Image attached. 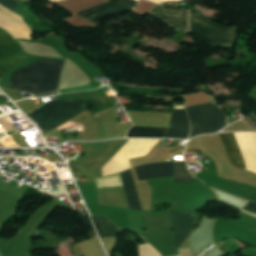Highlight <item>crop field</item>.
<instances>
[{
  "mask_svg": "<svg viewBox=\"0 0 256 256\" xmlns=\"http://www.w3.org/2000/svg\"><path fill=\"white\" fill-rule=\"evenodd\" d=\"M62 60L40 59L16 70L9 87L29 92L47 93L58 89Z\"/></svg>",
  "mask_w": 256,
  "mask_h": 256,
  "instance_id": "8a807250",
  "label": "crop field"
},
{
  "mask_svg": "<svg viewBox=\"0 0 256 256\" xmlns=\"http://www.w3.org/2000/svg\"><path fill=\"white\" fill-rule=\"evenodd\" d=\"M86 109L87 105L57 99L32 112L30 117L43 135Z\"/></svg>",
  "mask_w": 256,
  "mask_h": 256,
  "instance_id": "ac0d7876",
  "label": "crop field"
},
{
  "mask_svg": "<svg viewBox=\"0 0 256 256\" xmlns=\"http://www.w3.org/2000/svg\"><path fill=\"white\" fill-rule=\"evenodd\" d=\"M191 122L190 137L214 133L224 127L227 116L215 102L186 108Z\"/></svg>",
  "mask_w": 256,
  "mask_h": 256,
  "instance_id": "34b2d1b8",
  "label": "crop field"
},
{
  "mask_svg": "<svg viewBox=\"0 0 256 256\" xmlns=\"http://www.w3.org/2000/svg\"><path fill=\"white\" fill-rule=\"evenodd\" d=\"M190 32L206 40L215 47H230L236 28H226L215 24L191 11H189Z\"/></svg>",
  "mask_w": 256,
  "mask_h": 256,
  "instance_id": "412701ff",
  "label": "crop field"
},
{
  "mask_svg": "<svg viewBox=\"0 0 256 256\" xmlns=\"http://www.w3.org/2000/svg\"><path fill=\"white\" fill-rule=\"evenodd\" d=\"M158 141L159 140L130 139L102 168L103 177L130 169L128 159L147 155Z\"/></svg>",
  "mask_w": 256,
  "mask_h": 256,
  "instance_id": "f4fd0767",
  "label": "crop field"
},
{
  "mask_svg": "<svg viewBox=\"0 0 256 256\" xmlns=\"http://www.w3.org/2000/svg\"><path fill=\"white\" fill-rule=\"evenodd\" d=\"M0 4L10 11H14L20 2L15 0H0ZM0 5V27L7 30L14 39L21 38L31 40V29L22 17L10 12Z\"/></svg>",
  "mask_w": 256,
  "mask_h": 256,
  "instance_id": "dd49c442",
  "label": "crop field"
},
{
  "mask_svg": "<svg viewBox=\"0 0 256 256\" xmlns=\"http://www.w3.org/2000/svg\"><path fill=\"white\" fill-rule=\"evenodd\" d=\"M16 44L8 33L0 32V81L9 70L25 58Z\"/></svg>",
  "mask_w": 256,
  "mask_h": 256,
  "instance_id": "e52e79f7",
  "label": "crop field"
},
{
  "mask_svg": "<svg viewBox=\"0 0 256 256\" xmlns=\"http://www.w3.org/2000/svg\"><path fill=\"white\" fill-rule=\"evenodd\" d=\"M110 2L102 4L100 6L87 9L77 13L82 18L98 25L99 21L104 17L116 14L119 12L132 10L137 4L132 0H109Z\"/></svg>",
  "mask_w": 256,
  "mask_h": 256,
  "instance_id": "d8731c3e",
  "label": "crop field"
},
{
  "mask_svg": "<svg viewBox=\"0 0 256 256\" xmlns=\"http://www.w3.org/2000/svg\"><path fill=\"white\" fill-rule=\"evenodd\" d=\"M171 138H187L189 135L190 124L186 116L183 102L173 104V112L170 123ZM169 128L167 133L163 136L170 138Z\"/></svg>",
  "mask_w": 256,
  "mask_h": 256,
  "instance_id": "5a996713",
  "label": "crop field"
},
{
  "mask_svg": "<svg viewBox=\"0 0 256 256\" xmlns=\"http://www.w3.org/2000/svg\"><path fill=\"white\" fill-rule=\"evenodd\" d=\"M149 14L161 19L168 25L187 31V10H173L158 5Z\"/></svg>",
  "mask_w": 256,
  "mask_h": 256,
  "instance_id": "3316defc",
  "label": "crop field"
},
{
  "mask_svg": "<svg viewBox=\"0 0 256 256\" xmlns=\"http://www.w3.org/2000/svg\"><path fill=\"white\" fill-rule=\"evenodd\" d=\"M172 228L176 247L179 246L191 231L195 216L170 210Z\"/></svg>",
  "mask_w": 256,
  "mask_h": 256,
  "instance_id": "28ad6ade",
  "label": "crop field"
},
{
  "mask_svg": "<svg viewBox=\"0 0 256 256\" xmlns=\"http://www.w3.org/2000/svg\"><path fill=\"white\" fill-rule=\"evenodd\" d=\"M174 162L157 163L134 168L139 180L173 176Z\"/></svg>",
  "mask_w": 256,
  "mask_h": 256,
  "instance_id": "d1516ede",
  "label": "crop field"
},
{
  "mask_svg": "<svg viewBox=\"0 0 256 256\" xmlns=\"http://www.w3.org/2000/svg\"><path fill=\"white\" fill-rule=\"evenodd\" d=\"M219 136L231 164L239 168L247 169L234 133L221 134Z\"/></svg>",
  "mask_w": 256,
  "mask_h": 256,
  "instance_id": "22f410ed",
  "label": "crop field"
},
{
  "mask_svg": "<svg viewBox=\"0 0 256 256\" xmlns=\"http://www.w3.org/2000/svg\"><path fill=\"white\" fill-rule=\"evenodd\" d=\"M120 175H121L122 183L126 193L129 208L132 210H142L130 171L128 170L124 173H121Z\"/></svg>",
  "mask_w": 256,
  "mask_h": 256,
  "instance_id": "cbeb9de0",
  "label": "crop field"
},
{
  "mask_svg": "<svg viewBox=\"0 0 256 256\" xmlns=\"http://www.w3.org/2000/svg\"><path fill=\"white\" fill-rule=\"evenodd\" d=\"M165 128L153 127H132L128 132V137H162Z\"/></svg>",
  "mask_w": 256,
  "mask_h": 256,
  "instance_id": "5142ce71",
  "label": "crop field"
},
{
  "mask_svg": "<svg viewBox=\"0 0 256 256\" xmlns=\"http://www.w3.org/2000/svg\"><path fill=\"white\" fill-rule=\"evenodd\" d=\"M94 217L101 228L103 237H117L118 233H120L121 231H124V230L118 229L108 219H106L104 217H99V216H95V215H94ZM94 217L92 216L93 220L95 221ZM96 221H95V223L100 231V228ZM100 234H101V232H100Z\"/></svg>",
  "mask_w": 256,
  "mask_h": 256,
  "instance_id": "d9b57169",
  "label": "crop field"
},
{
  "mask_svg": "<svg viewBox=\"0 0 256 256\" xmlns=\"http://www.w3.org/2000/svg\"><path fill=\"white\" fill-rule=\"evenodd\" d=\"M192 182V178L188 173L186 163L183 161L175 162L174 183Z\"/></svg>",
  "mask_w": 256,
  "mask_h": 256,
  "instance_id": "733c2abd",
  "label": "crop field"
},
{
  "mask_svg": "<svg viewBox=\"0 0 256 256\" xmlns=\"http://www.w3.org/2000/svg\"><path fill=\"white\" fill-rule=\"evenodd\" d=\"M243 209L256 213V203L249 201Z\"/></svg>",
  "mask_w": 256,
  "mask_h": 256,
  "instance_id": "4a817a6b",
  "label": "crop field"
},
{
  "mask_svg": "<svg viewBox=\"0 0 256 256\" xmlns=\"http://www.w3.org/2000/svg\"><path fill=\"white\" fill-rule=\"evenodd\" d=\"M150 1L160 3V2H164V1H180V0H150Z\"/></svg>",
  "mask_w": 256,
  "mask_h": 256,
  "instance_id": "bc2a9ffb",
  "label": "crop field"
},
{
  "mask_svg": "<svg viewBox=\"0 0 256 256\" xmlns=\"http://www.w3.org/2000/svg\"><path fill=\"white\" fill-rule=\"evenodd\" d=\"M52 3L58 2V1H62V0H49Z\"/></svg>",
  "mask_w": 256,
  "mask_h": 256,
  "instance_id": "214f88e0",
  "label": "crop field"
}]
</instances>
